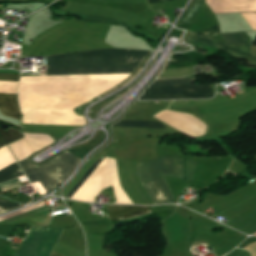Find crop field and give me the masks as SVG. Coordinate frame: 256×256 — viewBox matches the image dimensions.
<instances>
[{
    "label": "crop field",
    "instance_id": "2",
    "mask_svg": "<svg viewBox=\"0 0 256 256\" xmlns=\"http://www.w3.org/2000/svg\"><path fill=\"white\" fill-rule=\"evenodd\" d=\"M196 163L186 159V181L193 182ZM138 178L154 205L176 203L163 176L183 179L182 158L161 157L136 164Z\"/></svg>",
    "mask_w": 256,
    "mask_h": 256
},
{
    "label": "crop field",
    "instance_id": "18",
    "mask_svg": "<svg viewBox=\"0 0 256 256\" xmlns=\"http://www.w3.org/2000/svg\"><path fill=\"white\" fill-rule=\"evenodd\" d=\"M51 256H64V255L59 254V253H56V252H54V251H53V253H52V255H51Z\"/></svg>",
    "mask_w": 256,
    "mask_h": 256
},
{
    "label": "crop field",
    "instance_id": "14",
    "mask_svg": "<svg viewBox=\"0 0 256 256\" xmlns=\"http://www.w3.org/2000/svg\"><path fill=\"white\" fill-rule=\"evenodd\" d=\"M20 206L21 205H19L17 203H13V202H9V201L1 200L0 199V214L8 212V211H10L12 209H16V208H18Z\"/></svg>",
    "mask_w": 256,
    "mask_h": 256
},
{
    "label": "crop field",
    "instance_id": "5",
    "mask_svg": "<svg viewBox=\"0 0 256 256\" xmlns=\"http://www.w3.org/2000/svg\"><path fill=\"white\" fill-rule=\"evenodd\" d=\"M187 41L215 46L225 52H228L236 58L245 59L252 65L256 66V58L251 54L249 46H226V44L219 42L217 40L211 38L203 39L191 33L188 34Z\"/></svg>",
    "mask_w": 256,
    "mask_h": 256
},
{
    "label": "crop field",
    "instance_id": "3",
    "mask_svg": "<svg viewBox=\"0 0 256 256\" xmlns=\"http://www.w3.org/2000/svg\"><path fill=\"white\" fill-rule=\"evenodd\" d=\"M80 160L75 154L65 150L39 166L33 164L28 158L19 163L42 196L60 185L73 172Z\"/></svg>",
    "mask_w": 256,
    "mask_h": 256
},
{
    "label": "crop field",
    "instance_id": "12",
    "mask_svg": "<svg viewBox=\"0 0 256 256\" xmlns=\"http://www.w3.org/2000/svg\"><path fill=\"white\" fill-rule=\"evenodd\" d=\"M221 37L225 40L226 44H248L243 33L223 34Z\"/></svg>",
    "mask_w": 256,
    "mask_h": 256
},
{
    "label": "crop field",
    "instance_id": "11",
    "mask_svg": "<svg viewBox=\"0 0 256 256\" xmlns=\"http://www.w3.org/2000/svg\"><path fill=\"white\" fill-rule=\"evenodd\" d=\"M193 80L194 78L192 77H186L181 79H162L156 80L150 87L191 84Z\"/></svg>",
    "mask_w": 256,
    "mask_h": 256
},
{
    "label": "crop field",
    "instance_id": "13",
    "mask_svg": "<svg viewBox=\"0 0 256 256\" xmlns=\"http://www.w3.org/2000/svg\"><path fill=\"white\" fill-rule=\"evenodd\" d=\"M98 159L93 165L92 167L86 172V174L81 178V180L75 185V187L71 190V192L68 194L67 198L70 199L72 197V195L78 190V188L81 186V184L85 181V179L90 175V173L95 169V167L100 163V161L102 160ZM102 162V161H101Z\"/></svg>",
    "mask_w": 256,
    "mask_h": 256
},
{
    "label": "crop field",
    "instance_id": "7",
    "mask_svg": "<svg viewBox=\"0 0 256 256\" xmlns=\"http://www.w3.org/2000/svg\"><path fill=\"white\" fill-rule=\"evenodd\" d=\"M0 110L4 114H7L20 120L15 94L0 93Z\"/></svg>",
    "mask_w": 256,
    "mask_h": 256
},
{
    "label": "crop field",
    "instance_id": "10",
    "mask_svg": "<svg viewBox=\"0 0 256 256\" xmlns=\"http://www.w3.org/2000/svg\"><path fill=\"white\" fill-rule=\"evenodd\" d=\"M23 137V135L12 128L8 129L7 131L0 129V147Z\"/></svg>",
    "mask_w": 256,
    "mask_h": 256
},
{
    "label": "crop field",
    "instance_id": "15",
    "mask_svg": "<svg viewBox=\"0 0 256 256\" xmlns=\"http://www.w3.org/2000/svg\"><path fill=\"white\" fill-rule=\"evenodd\" d=\"M218 33H219V29H218V25H217L215 27H212L210 29L204 30V31L199 32L197 34L202 35L204 37H210V36H214V35H216Z\"/></svg>",
    "mask_w": 256,
    "mask_h": 256
},
{
    "label": "crop field",
    "instance_id": "8",
    "mask_svg": "<svg viewBox=\"0 0 256 256\" xmlns=\"http://www.w3.org/2000/svg\"><path fill=\"white\" fill-rule=\"evenodd\" d=\"M21 175H23V172L21 171V169L18 167V165L15 162V163L7 166L6 168L0 170V183L10 180V179H13V178H16V177H19ZM19 186H22V184L12 187V188H9V189H6V190H3V192L11 190V189L19 187Z\"/></svg>",
    "mask_w": 256,
    "mask_h": 256
},
{
    "label": "crop field",
    "instance_id": "9",
    "mask_svg": "<svg viewBox=\"0 0 256 256\" xmlns=\"http://www.w3.org/2000/svg\"><path fill=\"white\" fill-rule=\"evenodd\" d=\"M113 126L165 129L160 122L121 120Z\"/></svg>",
    "mask_w": 256,
    "mask_h": 256
},
{
    "label": "crop field",
    "instance_id": "6",
    "mask_svg": "<svg viewBox=\"0 0 256 256\" xmlns=\"http://www.w3.org/2000/svg\"><path fill=\"white\" fill-rule=\"evenodd\" d=\"M111 216L107 217L111 221L119 219H130L140 215L151 213L148 207L139 206H122V205H109L105 207Z\"/></svg>",
    "mask_w": 256,
    "mask_h": 256
},
{
    "label": "crop field",
    "instance_id": "17",
    "mask_svg": "<svg viewBox=\"0 0 256 256\" xmlns=\"http://www.w3.org/2000/svg\"><path fill=\"white\" fill-rule=\"evenodd\" d=\"M166 1H171V0H148V3H152V2H166Z\"/></svg>",
    "mask_w": 256,
    "mask_h": 256
},
{
    "label": "crop field",
    "instance_id": "1",
    "mask_svg": "<svg viewBox=\"0 0 256 256\" xmlns=\"http://www.w3.org/2000/svg\"><path fill=\"white\" fill-rule=\"evenodd\" d=\"M150 52L100 49L47 56L48 69L137 67ZM135 68L48 70L47 75L132 73Z\"/></svg>",
    "mask_w": 256,
    "mask_h": 256
},
{
    "label": "crop field",
    "instance_id": "16",
    "mask_svg": "<svg viewBox=\"0 0 256 256\" xmlns=\"http://www.w3.org/2000/svg\"><path fill=\"white\" fill-rule=\"evenodd\" d=\"M19 74L0 73V81H17Z\"/></svg>",
    "mask_w": 256,
    "mask_h": 256
},
{
    "label": "crop field",
    "instance_id": "4",
    "mask_svg": "<svg viewBox=\"0 0 256 256\" xmlns=\"http://www.w3.org/2000/svg\"><path fill=\"white\" fill-rule=\"evenodd\" d=\"M210 85H182L165 88H148L139 100L211 98Z\"/></svg>",
    "mask_w": 256,
    "mask_h": 256
}]
</instances>
